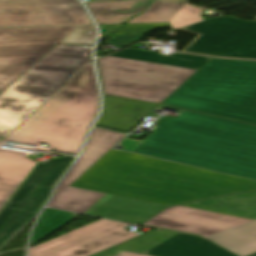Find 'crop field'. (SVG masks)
<instances>
[{
	"mask_svg": "<svg viewBox=\"0 0 256 256\" xmlns=\"http://www.w3.org/2000/svg\"><path fill=\"white\" fill-rule=\"evenodd\" d=\"M71 186L173 206L253 191L256 182L110 149Z\"/></svg>",
	"mask_w": 256,
	"mask_h": 256,
	"instance_id": "obj_1",
	"label": "crop field"
},
{
	"mask_svg": "<svg viewBox=\"0 0 256 256\" xmlns=\"http://www.w3.org/2000/svg\"><path fill=\"white\" fill-rule=\"evenodd\" d=\"M135 153L256 180V126L185 111Z\"/></svg>",
	"mask_w": 256,
	"mask_h": 256,
	"instance_id": "obj_2",
	"label": "crop field"
},
{
	"mask_svg": "<svg viewBox=\"0 0 256 256\" xmlns=\"http://www.w3.org/2000/svg\"><path fill=\"white\" fill-rule=\"evenodd\" d=\"M98 107L93 65L89 63L4 139L33 146L45 142L56 152L77 155Z\"/></svg>",
	"mask_w": 256,
	"mask_h": 256,
	"instance_id": "obj_3",
	"label": "crop field"
},
{
	"mask_svg": "<svg viewBox=\"0 0 256 256\" xmlns=\"http://www.w3.org/2000/svg\"><path fill=\"white\" fill-rule=\"evenodd\" d=\"M164 102L256 125V62L210 59Z\"/></svg>",
	"mask_w": 256,
	"mask_h": 256,
	"instance_id": "obj_4",
	"label": "crop field"
},
{
	"mask_svg": "<svg viewBox=\"0 0 256 256\" xmlns=\"http://www.w3.org/2000/svg\"><path fill=\"white\" fill-rule=\"evenodd\" d=\"M209 59L127 49L97 62L105 94L160 103Z\"/></svg>",
	"mask_w": 256,
	"mask_h": 256,
	"instance_id": "obj_5",
	"label": "crop field"
},
{
	"mask_svg": "<svg viewBox=\"0 0 256 256\" xmlns=\"http://www.w3.org/2000/svg\"><path fill=\"white\" fill-rule=\"evenodd\" d=\"M74 159L40 162L0 149V249L36 217L52 185Z\"/></svg>",
	"mask_w": 256,
	"mask_h": 256,
	"instance_id": "obj_6",
	"label": "crop field"
},
{
	"mask_svg": "<svg viewBox=\"0 0 256 256\" xmlns=\"http://www.w3.org/2000/svg\"><path fill=\"white\" fill-rule=\"evenodd\" d=\"M93 46L56 45L0 94V136L5 137L91 62Z\"/></svg>",
	"mask_w": 256,
	"mask_h": 256,
	"instance_id": "obj_7",
	"label": "crop field"
},
{
	"mask_svg": "<svg viewBox=\"0 0 256 256\" xmlns=\"http://www.w3.org/2000/svg\"><path fill=\"white\" fill-rule=\"evenodd\" d=\"M124 136L125 134L94 127L82 155L59 184L55 196L47 206L137 224L169 207L69 187Z\"/></svg>",
	"mask_w": 256,
	"mask_h": 256,
	"instance_id": "obj_8",
	"label": "crop field"
},
{
	"mask_svg": "<svg viewBox=\"0 0 256 256\" xmlns=\"http://www.w3.org/2000/svg\"><path fill=\"white\" fill-rule=\"evenodd\" d=\"M145 224L201 235L238 256L256 252V221L177 206Z\"/></svg>",
	"mask_w": 256,
	"mask_h": 256,
	"instance_id": "obj_9",
	"label": "crop field"
},
{
	"mask_svg": "<svg viewBox=\"0 0 256 256\" xmlns=\"http://www.w3.org/2000/svg\"><path fill=\"white\" fill-rule=\"evenodd\" d=\"M75 27L0 28V93Z\"/></svg>",
	"mask_w": 256,
	"mask_h": 256,
	"instance_id": "obj_10",
	"label": "crop field"
},
{
	"mask_svg": "<svg viewBox=\"0 0 256 256\" xmlns=\"http://www.w3.org/2000/svg\"><path fill=\"white\" fill-rule=\"evenodd\" d=\"M180 30L199 34L182 52L256 61V22L219 16Z\"/></svg>",
	"mask_w": 256,
	"mask_h": 256,
	"instance_id": "obj_11",
	"label": "crop field"
},
{
	"mask_svg": "<svg viewBox=\"0 0 256 256\" xmlns=\"http://www.w3.org/2000/svg\"><path fill=\"white\" fill-rule=\"evenodd\" d=\"M92 24L77 0H0V27Z\"/></svg>",
	"mask_w": 256,
	"mask_h": 256,
	"instance_id": "obj_12",
	"label": "crop field"
},
{
	"mask_svg": "<svg viewBox=\"0 0 256 256\" xmlns=\"http://www.w3.org/2000/svg\"><path fill=\"white\" fill-rule=\"evenodd\" d=\"M127 225L101 219L31 248L29 256H90L138 236Z\"/></svg>",
	"mask_w": 256,
	"mask_h": 256,
	"instance_id": "obj_13",
	"label": "crop field"
},
{
	"mask_svg": "<svg viewBox=\"0 0 256 256\" xmlns=\"http://www.w3.org/2000/svg\"><path fill=\"white\" fill-rule=\"evenodd\" d=\"M113 248L153 256H236L202 237L161 229Z\"/></svg>",
	"mask_w": 256,
	"mask_h": 256,
	"instance_id": "obj_14",
	"label": "crop field"
},
{
	"mask_svg": "<svg viewBox=\"0 0 256 256\" xmlns=\"http://www.w3.org/2000/svg\"><path fill=\"white\" fill-rule=\"evenodd\" d=\"M156 106L157 104L104 96L103 114L96 125L129 132Z\"/></svg>",
	"mask_w": 256,
	"mask_h": 256,
	"instance_id": "obj_15",
	"label": "crop field"
},
{
	"mask_svg": "<svg viewBox=\"0 0 256 256\" xmlns=\"http://www.w3.org/2000/svg\"><path fill=\"white\" fill-rule=\"evenodd\" d=\"M256 220V191L181 205Z\"/></svg>",
	"mask_w": 256,
	"mask_h": 256,
	"instance_id": "obj_16",
	"label": "crop field"
},
{
	"mask_svg": "<svg viewBox=\"0 0 256 256\" xmlns=\"http://www.w3.org/2000/svg\"><path fill=\"white\" fill-rule=\"evenodd\" d=\"M152 0L86 3L98 24H124L141 13Z\"/></svg>",
	"mask_w": 256,
	"mask_h": 256,
	"instance_id": "obj_17",
	"label": "crop field"
},
{
	"mask_svg": "<svg viewBox=\"0 0 256 256\" xmlns=\"http://www.w3.org/2000/svg\"><path fill=\"white\" fill-rule=\"evenodd\" d=\"M71 216V213L45 208L34 230L30 246L67 224Z\"/></svg>",
	"mask_w": 256,
	"mask_h": 256,
	"instance_id": "obj_18",
	"label": "crop field"
},
{
	"mask_svg": "<svg viewBox=\"0 0 256 256\" xmlns=\"http://www.w3.org/2000/svg\"><path fill=\"white\" fill-rule=\"evenodd\" d=\"M183 4L156 0L144 13L128 23H169Z\"/></svg>",
	"mask_w": 256,
	"mask_h": 256,
	"instance_id": "obj_19",
	"label": "crop field"
},
{
	"mask_svg": "<svg viewBox=\"0 0 256 256\" xmlns=\"http://www.w3.org/2000/svg\"><path fill=\"white\" fill-rule=\"evenodd\" d=\"M170 24H125L116 34L112 35L107 40L123 48L130 44L136 43L142 37L154 28L170 27Z\"/></svg>",
	"mask_w": 256,
	"mask_h": 256,
	"instance_id": "obj_20",
	"label": "crop field"
},
{
	"mask_svg": "<svg viewBox=\"0 0 256 256\" xmlns=\"http://www.w3.org/2000/svg\"><path fill=\"white\" fill-rule=\"evenodd\" d=\"M96 32L93 25L77 26L59 43L93 45Z\"/></svg>",
	"mask_w": 256,
	"mask_h": 256,
	"instance_id": "obj_21",
	"label": "crop field"
},
{
	"mask_svg": "<svg viewBox=\"0 0 256 256\" xmlns=\"http://www.w3.org/2000/svg\"><path fill=\"white\" fill-rule=\"evenodd\" d=\"M201 11L202 9L200 8L184 5L183 8L170 22L172 25L171 28L179 29L203 21V18L200 16Z\"/></svg>",
	"mask_w": 256,
	"mask_h": 256,
	"instance_id": "obj_22",
	"label": "crop field"
},
{
	"mask_svg": "<svg viewBox=\"0 0 256 256\" xmlns=\"http://www.w3.org/2000/svg\"><path fill=\"white\" fill-rule=\"evenodd\" d=\"M95 256H147V255L127 252V251H122L117 249H109Z\"/></svg>",
	"mask_w": 256,
	"mask_h": 256,
	"instance_id": "obj_23",
	"label": "crop field"
},
{
	"mask_svg": "<svg viewBox=\"0 0 256 256\" xmlns=\"http://www.w3.org/2000/svg\"><path fill=\"white\" fill-rule=\"evenodd\" d=\"M101 28L102 39L107 37L109 34L114 32L117 28L121 27L122 25H99Z\"/></svg>",
	"mask_w": 256,
	"mask_h": 256,
	"instance_id": "obj_24",
	"label": "crop field"
},
{
	"mask_svg": "<svg viewBox=\"0 0 256 256\" xmlns=\"http://www.w3.org/2000/svg\"><path fill=\"white\" fill-rule=\"evenodd\" d=\"M172 1L186 2V1H188V0H172Z\"/></svg>",
	"mask_w": 256,
	"mask_h": 256,
	"instance_id": "obj_25",
	"label": "crop field"
},
{
	"mask_svg": "<svg viewBox=\"0 0 256 256\" xmlns=\"http://www.w3.org/2000/svg\"><path fill=\"white\" fill-rule=\"evenodd\" d=\"M251 256H256V254H254V255H251Z\"/></svg>",
	"mask_w": 256,
	"mask_h": 256,
	"instance_id": "obj_26",
	"label": "crop field"
}]
</instances>
